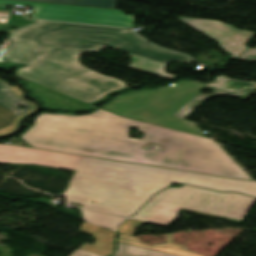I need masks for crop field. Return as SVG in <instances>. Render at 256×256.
Listing matches in <instances>:
<instances>
[{
    "label": "crop field",
    "mask_w": 256,
    "mask_h": 256,
    "mask_svg": "<svg viewBox=\"0 0 256 256\" xmlns=\"http://www.w3.org/2000/svg\"><path fill=\"white\" fill-rule=\"evenodd\" d=\"M12 43L3 57L28 67L19 76L86 103L106 99L107 95L128 89L120 80L99 75L78 63V54L10 36Z\"/></svg>",
    "instance_id": "34b2d1b8"
},
{
    "label": "crop field",
    "mask_w": 256,
    "mask_h": 256,
    "mask_svg": "<svg viewBox=\"0 0 256 256\" xmlns=\"http://www.w3.org/2000/svg\"><path fill=\"white\" fill-rule=\"evenodd\" d=\"M10 88H11V90L13 91V93H14L18 98H20V99L26 101V100L22 97V93H21V91L19 90V88H18L17 86L14 85V86H12V87H10ZM26 102L29 103L28 101H26ZM29 104H31V105L33 106V109H32L31 111H29V112L34 111V110H35V104H34L33 102H31V103H29ZM29 112H26V113L20 115L19 117H17V118L15 119L14 123H13L11 126L5 128V129L0 130V135H5V134H8V133L14 131V130L17 128L16 123H17L18 119L21 118L22 116H24L25 114L29 113Z\"/></svg>",
    "instance_id": "4a817a6b"
},
{
    "label": "crop field",
    "mask_w": 256,
    "mask_h": 256,
    "mask_svg": "<svg viewBox=\"0 0 256 256\" xmlns=\"http://www.w3.org/2000/svg\"><path fill=\"white\" fill-rule=\"evenodd\" d=\"M32 1L115 9L117 0H32Z\"/></svg>",
    "instance_id": "d9b57169"
},
{
    "label": "crop field",
    "mask_w": 256,
    "mask_h": 256,
    "mask_svg": "<svg viewBox=\"0 0 256 256\" xmlns=\"http://www.w3.org/2000/svg\"><path fill=\"white\" fill-rule=\"evenodd\" d=\"M37 2L32 1H20V0H0V4L11 5V4H19V5H30L35 6Z\"/></svg>",
    "instance_id": "92a150f3"
},
{
    "label": "crop field",
    "mask_w": 256,
    "mask_h": 256,
    "mask_svg": "<svg viewBox=\"0 0 256 256\" xmlns=\"http://www.w3.org/2000/svg\"><path fill=\"white\" fill-rule=\"evenodd\" d=\"M9 14H10V12H1L0 11V22L7 23ZM5 27H8V26H5ZM0 28H3V27L0 25Z\"/></svg>",
    "instance_id": "00972430"
},
{
    "label": "crop field",
    "mask_w": 256,
    "mask_h": 256,
    "mask_svg": "<svg viewBox=\"0 0 256 256\" xmlns=\"http://www.w3.org/2000/svg\"><path fill=\"white\" fill-rule=\"evenodd\" d=\"M238 59L256 61V49L248 48Z\"/></svg>",
    "instance_id": "214f88e0"
},
{
    "label": "crop field",
    "mask_w": 256,
    "mask_h": 256,
    "mask_svg": "<svg viewBox=\"0 0 256 256\" xmlns=\"http://www.w3.org/2000/svg\"><path fill=\"white\" fill-rule=\"evenodd\" d=\"M0 7H7V6H1V5H0ZM3 11H5V10H3Z\"/></svg>",
    "instance_id": "4177f3b9"
},
{
    "label": "crop field",
    "mask_w": 256,
    "mask_h": 256,
    "mask_svg": "<svg viewBox=\"0 0 256 256\" xmlns=\"http://www.w3.org/2000/svg\"><path fill=\"white\" fill-rule=\"evenodd\" d=\"M205 86L186 80L159 89L130 91L114 97L101 108L119 116L206 137L194 122L171 117Z\"/></svg>",
    "instance_id": "dd49c442"
},
{
    "label": "crop field",
    "mask_w": 256,
    "mask_h": 256,
    "mask_svg": "<svg viewBox=\"0 0 256 256\" xmlns=\"http://www.w3.org/2000/svg\"><path fill=\"white\" fill-rule=\"evenodd\" d=\"M256 198L237 193H218L185 185L154 196L132 218L167 225L179 209L240 223Z\"/></svg>",
    "instance_id": "f4fd0767"
},
{
    "label": "crop field",
    "mask_w": 256,
    "mask_h": 256,
    "mask_svg": "<svg viewBox=\"0 0 256 256\" xmlns=\"http://www.w3.org/2000/svg\"><path fill=\"white\" fill-rule=\"evenodd\" d=\"M144 133L130 139L127 127ZM36 148L251 180L212 140L99 109L71 116L42 113L20 135Z\"/></svg>",
    "instance_id": "8a807250"
},
{
    "label": "crop field",
    "mask_w": 256,
    "mask_h": 256,
    "mask_svg": "<svg viewBox=\"0 0 256 256\" xmlns=\"http://www.w3.org/2000/svg\"><path fill=\"white\" fill-rule=\"evenodd\" d=\"M24 104L27 108H19L18 105ZM32 106L18 99L9 89L0 93V129L12 124L16 116L29 111Z\"/></svg>",
    "instance_id": "22f410ed"
},
{
    "label": "crop field",
    "mask_w": 256,
    "mask_h": 256,
    "mask_svg": "<svg viewBox=\"0 0 256 256\" xmlns=\"http://www.w3.org/2000/svg\"><path fill=\"white\" fill-rule=\"evenodd\" d=\"M84 214V221L95 225L102 226L106 229L118 231L119 225L125 220V218L116 217L108 214L94 212L80 208Z\"/></svg>",
    "instance_id": "5142ce71"
},
{
    "label": "crop field",
    "mask_w": 256,
    "mask_h": 256,
    "mask_svg": "<svg viewBox=\"0 0 256 256\" xmlns=\"http://www.w3.org/2000/svg\"><path fill=\"white\" fill-rule=\"evenodd\" d=\"M84 157L0 144V163L36 164L77 171Z\"/></svg>",
    "instance_id": "d8731c3e"
},
{
    "label": "crop field",
    "mask_w": 256,
    "mask_h": 256,
    "mask_svg": "<svg viewBox=\"0 0 256 256\" xmlns=\"http://www.w3.org/2000/svg\"><path fill=\"white\" fill-rule=\"evenodd\" d=\"M7 88H9V87H7L6 84H4L3 82L0 81V92Z\"/></svg>",
    "instance_id": "a9b5d70f"
},
{
    "label": "crop field",
    "mask_w": 256,
    "mask_h": 256,
    "mask_svg": "<svg viewBox=\"0 0 256 256\" xmlns=\"http://www.w3.org/2000/svg\"><path fill=\"white\" fill-rule=\"evenodd\" d=\"M27 83L31 90H35L33 94L43 99L46 104L45 107L65 109H85L89 107V104L58 93L31 81H28Z\"/></svg>",
    "instance_id": "28ad6ade"
},
{
    "label": "crop field",
    "mask_w": 256,
    "mask_h": 256,
    "mask_svg": "<svg viewBox=\"0 0 256 256\" xmlns=\"http://www.w3.org/2000/svg\"><path fill=\"white\" fill-rule=\"evenodd\" d=\"M143 224H145V222L135 221V220L129 219L127 222H125L121 226L120 232L133 236L135 231H136V228L143 225Z\"/></svg>",
    "instance_id": "bc2a9ffb"
},
{
    "label": "crop field",
    "mask_w": 256,
    "mask_h": 256,
    "mask_svg": "<svg viewBox=\"0 0 256 256\" xmlns=\"http://www.w3.org/2000/svg\"><path fill=\"white\" fill-rule=\"evenodd\" d=\"M176 18L217 40L220 48L233 55L231 58L234 59H237L248 48L245 43L255 35L253 32L238 30L221 21L187 17Z\"/></svg>",
    "instance_id": "5a996713"
},
{
    "label": "crop field",
    "mask_w": 256,
    "mask_h": 256,
    "mask_svg": "<svg viewBox=\"0 0 256 256\" xmlns=\"http://www.w3.org/2000/svg\"><path fill=\"white\" fill-rule=\"evenodd\" d=\"M167 238V244L164 245H158V244H153L152 246L147 245L142 243L140 240H138L135 237H131L128 235H124L120 233V239L119 242L159 251V252H164L172 255H177V256H204L196 252H192L189 250L183 249L185 245H180V244H173V234H166Z\"/></svg>",
    "instance_id": "cbeb9de0"
},
{
    "label": "crop field",
    "mask_w": 256,
    "mask_h": 256,
    "mask_svg": "<svg viewBox=\"0 0 256 256\" xmlns=\"http://www.w3.org/2000/svg\"><path fill=\"white\" fill-rule=\"evenodd\" d=\"M69 256H102V255H98V254H94V253H90V252H86V251L76 249Z\"/></svg>",
    "instance_id": "dafd665d"
},
{
    "label": "crop field",
    "mask_w": 256,
    "mask_h": 256,
    "mask_svg": "<svg viewBox=\"0 0 256 256\" xmlns=\"http://www.w3.org/2000/svg\"><path fill=\"white\" fill-rule=\"evenodd\" d=\"M32 19L132 28L134 18L120 10L37 3Z\"/></svg>",
    "instance_id": "e52e79f7"
},
{
    "label": "crop field",
    "mask_w": 256,
    "mask_h": 256,
    "mask_svg": "<svg viewBox=\"0 0 256 256\" xmlns=\"http://www.w3.org/2000/svg\"><path fill=\"white\" fill-rule=\"evenodd\" d=\"M177 182L256 196L252 182L85 157L62 197L85 208L130 217L154 194Z\"/></svg>",
    "instance_id": "ac0d7876"
},
{
    "label": "crop field",
    "mask_w": 256,
    "mask_h": 256,
    "mask_svg": "<svg viewBox=\"0 0 256 256\" xmlns=\"http://www.w3.org/2000/svg\"><path fill=\"white\" fill-rule=\"evenodd\" d=\"M256 87V82H242L233 80L225 76L217 77V79L207 85L206 89L214 90L211 95H205L199 93L190 102H188L183 108H181L174 117L185 119L190 113H192L202 102H204L209 96L216 94H230L235 96H241L251 89Z\"/></svg>",
    "instance_id": "3316defc"
},
{
    "label": "crop field",
    "mask_w": 256,
    "mask_h": 256,
    "mask_svg": "<svg viewBox=\"0 0 256 256\" xmlns=\"http://www.w3.org/2000/svg\"><path fill=\"white\" fill-rule=\"evenodd\" d=\"M12 36L78 54L85 50L98 52L105 46L114 47L131 54L130 68L172 79L176 76L164 71L169 60L188 64L193 61L187 56L155 47L131 31L116 28L41 22L25 27Z\"/></svg>",
    "instance_id": "412701ff"
},
{
    "label": "crop field",
    "mask_w": 256,
    "mask_h": 256,
    "mask_svg": "<svg viewBox=\"0 0 256 256\" xmlns=\"http://www.w3.org/2000/svg\"><path fill=\"white\" fill-rule=\"evenodd\" d=\"M116 256H172L164 253H159L127 244L120 243Z\"/></svg>",
    "instance_id": "733c2abd"
},
{
    "label": "crop field",
    "mask_w": 256,
    "mask_h": 256,
    "mask_svg": "<svg viewBox=\"0 0 256 256\" xmlns=\"http://www.w3.org/2000/svg\"><path fill=\"white\" fill-rule=\"evenodd\" d=\"M79 230L81 232L92 235L95 238L93 245L84 243L78 249L108 255L112 252L113 244L112 240L116 236V232L106 230L102 227L95 226L88 223H83Z\"/></svg>",
    "instance_id": "d1516ede"
}]
</instances>
